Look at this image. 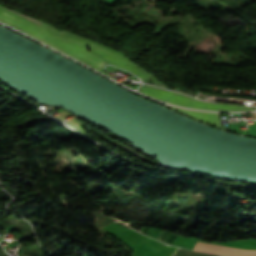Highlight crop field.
<instances>
[{
    "label": "crop field",
    "mask_w": 256,
    "mask_h": 256,
    "mask_svg": "<svg viewBox=\"0 0 256 256\" xmlns=\"http://www.w3.org/2000/svg\"><path fill=\"white\" fill-rule=\"evenodd\" d=\"M194 250L228 256H256V250H244L198 242Z\"/></svg>",
    "instance_id": "1"
}]
</instances>
